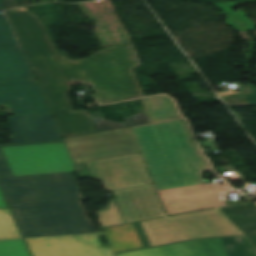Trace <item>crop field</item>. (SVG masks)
Returning a JSON list of instances; mask_svg holds the SVG:
<instances>
[{
    "instance_id": "13",
    "label": "crop field",
    "mask_w": 256,
    "mask_h": 256,
    "mask_svg": "<svg viewBox=\"0 0 256 256\" xmlns=\"http://www.w3.org/2000/svg\"><path fill=\"white\" fill-rule=\"evenodd\" d=\"M0 256H30L9 209L0 210Z\"/></svg>"
},
{
    "instance_id": "18",
    "label": "crop field",
    "mask_w": 256,
    "mask_h": 256,
    "mask_svg": "<svg viewBox=\"0 0 256 256\" xmlns=\"http://www.w3.org/2000/svg\"><path fill=\"white\" fill-rule=\"evenodd\" d=\"M0 12L4 13L0 15V49L21 47L12 29V26L6 16L5 10L1 2Z\"/></svg>"
},
{
    "instance_id": "11",
    "label": "crop field",
    "mask_w": 256,
    "mask_h": 256,
    "mask_svg": "<svg viewBox=\"0 0 256 256\" xmlns=\"http://www.w3.org/2000/svg\"><path fill=\"white\" fill-rule=\"evenodd\" d=\"M80 177L94 179L86 162L96 160L84 135L74 137L64 112L53 113ZM79 162V164H76ZM90 176V177H87Z\"/></svg>"
},
{
    "instance_id": "7",
    "label": "crop field",
    "mask_w": 256,
    "mask_h": 256,
    "mask_svg": "<svg viewBox=\"0 0 256 256\" xmlns=\"http://www.w3.org/2000/svg\"><path fill=\"white\" fill-rule=\"evenodd\" d=\"M89 233L25 239L33 256H113L102 247L97 235Z\"/></svg>"
},
{
    "instance_id": "12",
    "label": "crop field",
    "mask_w": 256,
    "mask_h": 256,
    "mask_svg": "<svg viewBox=\"0 0 256 256\" xmlns=\"http://www.w3.org/2000/svg\"><path fill=\"white\" fill-rule=\"evenodd\" d=\"M103 231L113 253L150 247L138 222L106 227Z\"/></svg>"
},
{
    "instance_id": "6",
    "label": "crop field",
    "mask_w": 256,
    "mask_h": 256,
    "mask_svg": "<svg viewBox=\"0 0 256 256\" xmlns=\"http://www.w3.org/2000/svg\"><path fill=\"white\" fill-rule=\"evenodd\" d=\"M116 256H256V247L245 236L191 240Z\"/></svg>"
},
{
    "instance_id": "19",
    "label": "crop field",
    "mask_w": 256,
    "mask_h": 256,
    "mask_svg": "<svg viewBox=\"0 0 256 256\" xmlns=\"http://www.w3.org/2000/svg\"><path fill=\"white\" fill-rule=\"evenodd\" d=\"M98 114H100L101 116L100 117H95L94 114H91L98 131L107 130V129L112 130V129L122 128V127H127V126L132 125V123L129 119V116H128V118H125V116H124L125 122L116 123L114 121H106V120L103 119V116H102L101 113H98ZM95 119H100V121L96 122Z\"/></svg>"
},
{
    "instance_id": "10",
    "label": "crop field",
    "mask_w": 256,
    "mask_h": 256,
    "mask_svg": "<svg viewBox=\"0 0 256 256\" xmlns=\"http://www.w3.org/2000/svg\"><path fill=\"white\" fill-rule=\"evenodd\" d=\"M85 137L97 160L139 153L129 128Z\"/></svg>"
},
{
    "instance_id": "17",
    "label": "crop field",
    "mask_w": 256,
    "mask_h": 256,
    "mask_svg": "<svg viewBox=\"0 0 256 256\" xmlns=\"http://www.w3.org/2000/svg\"><path fill=\"white\" fill-rule=\"evenodd\" d=\"M212 4H214L218 9H220L224 14L228 16L225 23L233 26L237 31H242L245 29L236 21H234L230 17V15H233L234 17L239 19L241 23L247 26L249 28L247 30H252L256 28V25L252 21L247 19L246 15L243 13L241 9L237 13L231 9L233 7H236V5L233 2H218Z\"/></svg>"
},
{
    "instance_id": "5",
    "label": "crop field",
    "mask_w": 256,
    "mask_h": 256,
    "mask_svg": "<svg viewBox=\"0 0 256 256\" xmlns=\"http://www.w3.org/2000/svg\"><path fill=\"white\" fill-rule=\"evenodd\" d=\"M141 223L152 247L191 239L248 234L256 232V206L249 203Z\"/></svg>"
},
{
    "instance_id": "27",
    "label": "crop field",
    "mask_w": 256,
    "mask_h": 256,
    "mask_svg": "<svg viewBox=\"0 0 256 256\" xmlns=\"http://www.w3.org/2000/svg\"><path fill=\"white\" fill-rule=\"evenodd\" d=\"M244 2H247V1H244ZM235 3V2H234Z\"/></svg>"
},
{
    "instance_id": "2",
    "label": "crop field",
    "mask_w": 256,
    "mask_h": 256,
    "mask_svg": "<svg viewBox=\"0 0 256 256\" xmlns=\"http://www.w3.org/2000/svg\"><path fill=\"white\" fill-rule=\"evenodd\" d=\"M14 177L0 187L24 238L97 232L70 171L64 143L2 147Z\"/></svg>"
},
{
    "instance_id": "26",
    "label": "crop field",
    "mask_w": 256,
    "mask_h": 256,
    "mask_svg": "<svg viewBox=\"0 0 256 256\" xmlns=\"http://www.w3.org/2000/svg\"><path fill=\"white\" fill-rule=\"evenodd\" d=\"M249 84V83H248ZM250 87H251V89H253L254 88V86L253 85H250Z\"/></svg>"
},
{
    "instance_id": "21",
    "label": "crop field",
    "mask_w": 256,
    "mask_h": 256,
    "mask_svg": "<svg viewBox=\"0 0 256 256\" xmlns=\"http://www.w3.org/2000/svg\"><path fill=\"white\" fill-rule=\"evenodd\" d=\"M133 121L135 122V125H141V124L149 123L144 111H142L138 115L133 116Z\"/></svg>"
},
{
    "instance_id": "8",
    "label": "crop field",
    "mask_w": 256,
    "mask_h": 256,
    "mask_svg": "<svg viewBox=\"0 0 256 256\" xmlns=\"http://www.w3.org/2000/svg\"><path fill=\"white\" fill-rule=\"evenodd\" d=\"M13 145L61 141L50 113L11 116Z\"/></svg>"
},
{
    "instance_id": "4",
    "label": "crop field",
    "mask_w": 256,
    "mask_h": 256,
    "mask_svg": "<svg viewBox=\"0 0 256 256\" xmlns=\"http://www.w3.org/2000/svg\"><path fill=\"white\" fill-rule=\"evenodd\" d=\"M87 164L115 197L95 212L102 227L166 215L139 154Z\"/></svg>"
},
{
    "instance_id": "25",
    "label": "crop field",
    "mask_w": 256,
    "mask_h": 256,
    "mask_svg": "<svg viewBox=\"0 0 256 256\" xmlns=\"http://www.w3.org/2000/svg\"><path fill=\"white\" fill-rule=\"evenodd\" d=\"M256 246V234L248 235L247 236Z\"/></svg>"
},
{
    "instance_id": "22",
    "label": "crop field",
    "mask_w": 256,
    "mask_h": 256,
    "mask_svg": "<svg viewBox=\"0 0 256 256\" xmlns=\"http://www.w3.org/2000/svg\"><path fill=\"white\" fill-rule=\"evenodd\" d=\"M197 140H198V142H199V144H200L202 150H203V147H204V146L207 147L206 150H203L204 153H206V152H211V151H207V150H209V147H212V148H213L212 151H217V150H218V148H217V146H216L214 140L205 141V142H201L199 138H198Z\"/></svg>"
},
{
    "instance_id": "14",
    "label": "crop field",
    "mask_w": 256,
    "mask_h": 256,
    "mask_svg": "<svg viewBox=\"0 0 256 256\" xmlns=\"http://www.w3.org/2000/svg\"><path fill=\"white\" fill-rule=\"evenodd\" d=\"M21 48L0 50V82L33 79Z\"/></svg>"
},
{
    "instance_id": "3",
    "label": "crop field",
    "mask_w": 256,
    "mask_h": 256,
    "mask_svg": "<svg viewBox=\"0 0 256 256\" xmlns=\"http://www.w3.org/2000/svg\"><path fill=\"white\" fill-rule=\"evenodd\" d=\"M132 129L169 215L226 205L224 186L204 184L201 173L211 167L181 120Z\"/></svg>"
},
{
    "instance_id": "16",
    "label": "crop field",
    "mask_w": 256,
    "mask_h": 256,
    "mask_svg": "<svg viewBox=\"0 0 256 256\" xmlns=\"http://www.w3.org/2000/svg\"><path fill=\"white\" fill-rule=\"evenodd\" d=\"M239 92L233 93L234 90L218 94L229 106H252L256 105V89L250 90L249 85L238 88Z\"/></svg>"
},
{
    "instance_id": "1",
    "label": "crop field",
    "mask_w": 256,
    "mask_h": 256,
    "mask_svg": "<svg viewBox=\"0 0 256 256\" xmlns=\"http://www.w3.org/2000/svg\"><path fill=\"white\" fill-rule=\"evenodd\" d=\"M7 12L52 111H65L75 136L97 130L88 110H73L67 95L70 79L88 76L102 104L145 96L133 71L141 64L132 43L72 61L54 48L38 16L26 8Z\"/></svg>"
},
{
    "instance_id": "24",
    "label": "crop field",
    "mask_w": 256,
    "mask_h": 256,
    "mask_svg": "<svg viewBox=\"0 0 256 256\" xmlns=\"http://www.w3.org/2000/svg\"><path fill=\"white\" fill-rule=\"evenodd\" d=\"M70 81H71L72 84L82 82V83H86L88 85H91L87 77L80 78V79H74V80H70Z\"/></svg>"
},
{
    "instance_id": "20",
    "label": "crop field",
    "mask_w": 256,
    "mask_h": 256,
    "mask_svg": "<svg viewBox=\"0 0 256 256\" xmlns=\"http://www.w3.org/2000/svg\"><path fill=\"white\" fill-rule=\"evenodd\" d=\"M4 176H12L11 172L0 152V177H4ZM2 207H8L1 192H0V208Z\"/></svg>"
},
{
    "instance_id": "23",
    "label": "crop field",
    "mask_w": 256,
    "mask_h": 256,
    "mask_svg": "<svg viewBox=\"0 0 256 256\" xmlns=\"http://www.w3.org/2000/svg\"><path fill=\"white\" fill-rule=\"evenodd\" d=\"M3 1L7 9L18 7L15 0H3Z\"/></svg>"
},
{
    "instance_id": "15",
    "label": "crop field",
    "mask_w": 256,
    "mask_h": 256,
    "mask_svg": "<svg viewBox=\"0 0 256 256\" xmlns=\"http://www.w3.org/2000/svg\"><path fill=\"white\" fill-rule=\"evenodd\" d=\"M150 123L179 118V113L172 99L161 96L141 100Z\"/></svg>"
},
{
    "instance_id": "9",
    "label": "crop field",
    "mask_w": 256,
    "mask_h": 256,
    "mask_svg": "<svg viewBox=\"0 0 256 256\" xmlns=\"http://www.w3.org/2000/svg\"><path fill=\"white\" fill-rule=\"evenodd\" d=\"M14 115L50 112L35 80L0 83V104Z\"/></svg>"
}]
</instances>
